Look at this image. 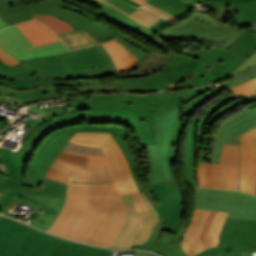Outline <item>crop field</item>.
I'll return each mask as SVG.
<instances>
[{
  "label": "crop field",
  "mask_w": 256,
  "mask_h": 256,
  "mask_svg": "<svg viewBox=\"0 0 256 256\" xmlns=\"http://www.w3.org/2000/svg\"><path fill=\"white\" fill-rule=\"evenodd\" d=\"M83 131L110 132L126 155L139 190H144L137 175L132 154L125 141L128 136L124 128L118 126L71 125L47 135L41 141L28 164L18 163L17 178H6L0 174V201L10 188L65 199L67 185L43 177L67 141L76 132ZM145 191L154 207L158 205L151 192L149 190Z\"/></svg>",
  "instance_id": "34b2d1b8"
},
{
  "label": "crop field",
  "mask_w": 256,
  "mask_h": 256,
  "mask_svg": "<svg viewBox=\"0 0 256 256\" xmlns=\"http://www.w3.org/2000/svg\"><path fill=\"white\" fill-rule=\"evenodd\" d=\"M250 31H255L256 32V21L252 24V26L249 29Z\"/></svg>",
  "instance_id": "89e229c0"
},
{
  "label": "crop field",
  "mask_w": 256,
  "mask_h": 256,
  "mask_svg": "<svg viewBox=\"0 0 256 256\" xmlns=\"http://www.w3.org/2000/svg\"><path fill=\"white\" fill-rule=\"evenodd\" d=\"M114 40H116L121 46H123L128 52H130L138 60H140V59L149 55L146 52H144L143 50L136 47L135 45L129 43L128 41H126V40H124L120 37H118Z\"/></svg>",
  "instance_id": "b80d0937"
},
{
  "label": "crop field",
  "mask_w": 256,
  "mask_h": 256,
  "mask_svg": "<svg viewBox=\"0 0 256 256\" xmlns=\"http://www.w3.org/2000/svg\"><path fill=\"white\" fill-rule=\"evenodd\" d=\"M164 218H160L159 222L145 247H135L133 249H146L156 251L164 256H188L181 248L180 243L182 236L188 226L182 223L177 235L164 232Z\"/></svg>",
  "instance_id": "00972430"
},
{
  "label": "crop field",
  "mask_w": 256,
  "mask_h": 256,
  "mask_svg": "<svg viewBox=\"0 0 256 256\" xmlns=\"http://www.w3.org/2000/svg\"><path fill=\"white\" fill-rule=\"evenodd\" d=\"M210 1H225V2H250L255 0H210Z\"/></svg>",
  "instance_id": "425ffa30"
},
{
  "label": "crop field",
  "mask_w": 256,
  "mask_h": 256,
  "mask_svg": "<svg viewBox=\"0 0 256 256\" xmlns=\"http://www.w3.org/2000/svg\"><path fill=\"white\" fill-rule=\"evenodd\" d=\"M127 218L113 183H70L65 206L48 232L108 247Z\"/></svg>",
  "instance_id": "ac0d7876"
},
{
  "label": "crop field",
  "mask_w": 256,
  "mask_h": 256,
  "mask_svg": "<svg viewBox=\"0 0 256 256\" xmlns=\"http://www.w3.org/2000/svg\"><path fill=\"white\" fill-rule=\"evenodd\" d=\"M228 212H219L212 226L211 241L213 247L219 246L218 238Z\"/></svg>",
  "instance_id": "e1f06a70"
},
{
  "label": "crop field",
  "mask_w": 256,
  "mask_h": 256,
  "mask_svg": "<svg viewBox=\"0 0 256 256\" xmlns=\"http://www.w3.org/2000/svg\"><path fill=\"white\" fill-rule=\"evenodd\" d=\"M82 1L102 8L103 10L99 13L108 18L110 21L146 37L159 47L165 49L167 52L175 56V58L165 68L158 72L168 84L172 85V88L167 90L209 84L216 76L206 68L221 62L224 58V53L226 50L216 47L211 48V51L199 50L195 52L181 49V52H183L185 55H178L151 37L173 23L162 18L163 20L155 23L154 26L147 29L136 21L123 15L119 11L101 2L96 0ZM107 1L119 6L129 13L136 9L121 0ZM191 76H193V78H191Z\"/></svg>",
  "instance_id": "f4fd0767"
},
{
  "label": "crop field",
  "mask_w": 256,
  "mask_h": 256,
  "mask_svg": "<svg viewBox=\"0 0 256 256\" xmlns=\"http://www.w3.org/2000/svg\"><path fill=\"white\" fill-rule=\"evenodd\" d=\"M68 142L101 147L106 156L85 155L88 156L87 167L56 159L52 165L53 167L70 173V181L73 182L113 181L120 195L131 193L139 212L147 210L128 162L111 134L94 132L76 133Z\"/></svg>",
  "instance_id": "dd49c442"
},
{
  "label": "crop field",
  "mask_w": 256,
  "mask_h": 256,
  "mask_svg": "<svg viewBox=\"0 0 256 256\" xmlns=\"http://www.w3.org/2000/svg\"><path fill=\"white\" fill-rule=\"evenodd\" d=\"M34 19H38L39 21L47 24L56 34L74 30L70 25L66 22L56 19L55 17L49 16H33Z\"/></svg>",
  "instance_id": "1d83c4d3"
},
{
  "label": "crop field",
  "mask_w": 256,
  "mask_h": 256,
  "mask_svg": "<svg viewBox=\"0 0 256 256\" xmlns=\"http://www.w3.org/2000/svg\"><path fill=\"white\" fill-rule=\"evenodd\" d=\"M240 137L239 191L256 195V127Z\"/></svg>",
  "instance_id": "bc2a9ffb"
},
{
  "label": "crop field",
  "mask_w": 256,
  "mask_h": 256,
  "mask_svg": "<svg viewBox=\"0 0 256 256\" xmlns=\"http://www.w3.org/2000/svg\"><path fill=\"white\" fill-rule=\"evenodd\" d=\"M41 232L1 216L0 256H109L112 253Z\"/></svg>",
  "instance_id": "d8731c3e"
},
{
  "label": "crop field",
  "mask_w": 256,
  "mask_h": 256,
  "mask_svg": "<svg viewBox=\"0 0 256 256\" xmlns=\"http://www.w3.org/2000/svg\"><path fill=\"white\" fill-rule=\"evenodd\" d=\"M4 122L0 121V129L2 128Z\"/></svg>",
  "instance_id": "1d79db26"
},
{
  "label": "crop field",
  "mask_w": 256,
  "mask_h": 256,
  "mask_svg": "<svg viewBox=\"0 0 256 256\" xmlns=\"http://www.w3.org/2000/svg\"><path fill=\"white\" fill-rule=\"evenodd\" d=\"M115 41L110 40L101 45L112 57L118 74L138 69V66L135 64L138 60L128 53L124 48H122L123 46L121 47L118 43H116L117 41Z\"/></svg>",
  "instance_id": "eef30255"
},
{
  "label": "crop field",
  "mask_w": 256,
  "mask_h": 256,
  "mask_svg": "<svg viewBox=\"0 0 256 256\" xmlns=\"http://www.w3.org/2000/svg\"><path fill=\"white\" fill-rule=\"evenodd\" d=\"M135 256H149V255H143V254H137V253H135Z\"/></svg>",
  "instance_id": "0fb4a251"
},
{
  "label": "crop field",
  "mask_w": 256,
  "mask_h": 256,
  "mask_svg": "<svg viewBox=\"0 0 256 256\" xmlns=\"http://www.w3.org/2000/svg\"><path fill=\"white\" fill-rule=\"evenodd\" d=\"M219 4H231L229 13L234 16L235 22L240 25H251L256 20V1L250 3H224L202 1L200 5L210 9L220 18H228L226 13L222 11Z\"/></svg>",
  "instance_id": "a9b5d70f"
},
{
  "label": "crop field",
  "mask_w": 256,
  "mask_h": 256,
  "mask_svg": "<svg viewBox=\"0 0 256 256\" xmlns=\"http://www.w3.org/2000/svg\"><path fill=\"white\" fill-rule=\"evenodd\" d=\"M256 51V33L247 31L225 53V59L218 65L208 68L216 74V79L235 70Z\"/></svg>",
  "instance_id": "dafd665d"
},
{
  "label": "crop field",
  "mask_w": 256,
  "mask_h": 256,
  "mask_svg": "<svg viewBox=\"0 0 256 256\" xmlns=\"http://www.w3.org/2000/svg\"><path fill=\"white\" fill-rule=\"evenodd\" d=\"M58 36L68 45L70 50L98 44V42L82 28L58 34Z\"/></svg>",
  "instance_id": "750c4746"
},
{
  "label": "crop field",
  "mask_w": 256,
  "mask_h": 256,
  "mask_svg": "<svg viewBox=\"0 0 256 256\" xmlns=\"http://www.w3.org/2000/svg\"><path fill=\"white\" fill-rule=\"evenodd\" d=\"M194 208L229 211L227 217L256 219V196L219 189L193 188Z\"/></svg>",
  "instance_id": "22f410ed"
},
{
  "label": "crop field",
  "mask_w": 256,
  "mask_h": 256,
  "mask_svg": "<svg viewBox=\"0 0 256 256\" xmlns=\"http://www.w3.org/2000/svg\"><path fill=\"white\" fill-rule=\"evenodd\" d=\"M143 6L148 8V9H150V10H152V11H154L155 13L161 15L162 17H164V18H166V19H168V20H170V21H172L174 23L180 20L177 17H175L173 15H170V14H168V13H166V12L156 8V7H153V6H151V5L147 4V3L145 5H143Z\"/></svg>",
  "instance_id": "5d738f31"
},
{
  "label": "crop field",
  "mask_w": 256,
  "mask_h": 256,
  "mask_svg": "<svg viewBox=\"0 0 256 256\" xmlns=\"http://www.w3.org/2000/svg\"><path fill=\"white\" fill-rule=\"evenodd\" d=\"M133 1H135V2H137L139 4H142V5L147 2V0H133Z\"/></svg>",
  "instance_id": "dbb93151"
},
{
  "label": "crop field",
  "mask_w": 256,
  "mask_h": 256,
  "mask_svg": "<svg viewBox=\"0 0 256 256\" xmlns=\"http://www.w3.org/2000/svg\"><path fill=\"white\" fill-rule=\"evenodd\" d=\"M140 193L149 210L138 213L131 195L121 196L129 218L122 230L111 243V248L131 249L134 246H144L149 240L159 217L145 191Z\"/></svg>",
  "instance_id": "d1516ede"
},
{
  "label": "crop field",
  "mask_w": 256,
  "mask_h": 256,
  "mask_svg": "<svg viewBox=\"0 0 256 256\" xmlns=\"http://www.w3.org/2000/svg\"><path fill=\"white\" fill-rule=\"evenodd\" d=\"M207 121L195 117L189 126L184 156L185 179L188 186H198L196 162H200L202 141Z\"/></svg>",
  "instance_id": "92a150f3"
},
{
  "label": "crop field",
  "mask_w": 256,
  "mask_h": 256,
  "mask_svg": "<svg viewBox=\"0 0 256 256\" xmlns=\"http://www.w3.org/2000/svg\"><path fill=\"white\" fill-rule=\"evenodd\" d=\"M243 102L246 104L256 102V95L239 100L236 96H234L231 93V94L223 97L222 99L216 101L204 112V114L202 115L201 118L209 119V121H208L206 133H205V137H204V141H203L201 162H205V159H206L207 146H208V142H209V138H210V136H208V129H209L210 125L212 124V122L218 116L226 113L230 109L234 108L235 106H237Z\"/></svg>",
  "instance_id": "4177f3b9"
},
{
  "label": "crop field",
  "mask_w": 256,
  "mask_h": 256,
  "mask_svg": "<svg viewBox=\"0 0 256 256\" xmlns=\"http://www.w3.org/2000/svg\"><path fill=\"white\" fill-rule=\"evenodd\" d=\"M125 1L129 2L130 4H132V5L135 6V7L141 6V5L135 3V2H133V1H131V0H125Z\"/></svg>",
  "instance_id": "1f2cbd36"
},
{
  "label": "crop field",
  "mask_w": 256,
  "mask_h": 256,
  "mask_svg": "<svg viewBox=\"0 0 256 256\" xmlns=\"http://www.w3.org/2000/svg\"><path fill=\"white\" fill-rule=\"evenodd\" d=\"M98 1H101L103 3H106V4L114 7L115 9L124 13L128 17L138 21L139 23H141L142 25H144L147 28L154 25L155 22L162 19L161 17L155 15L154 13H152V12H150V11L144 9V8H138L137 10H135L134 12L129 14V13L125 12L124 10L120 9L119 7L107 2L106 0H98Z\"/></svg>",
  "instance_id": "bd1437ed"
},
{
  "label": "crop field",
  "mask_w": 256,
  "mask_h": 256,
  "mask_svg": "<svg viewBox=\"0 0 256 256\" xmlns=\"http://www.w3.org/2000/svg\"><path fill=\"white\" fill-rule=\"evenodd\" d=\"M246 107L248 109L225 120L217 128L210 163H219L223 143L239 145L238 136L256 126V103Z\"/></svg>",
  "instance_id": "4a817a6b"
},
{
  "label": "crop field",
  "mask_w": 256,
  "mask_h": 256,
  "mask_svg": "<svg viewBox=\"0 0 256 256\" xmlns=\"http://www.w3.org/2000/svg\"><path fill=\"white\" fill-rule=\"evenodd\" d=\"M206 212L205 210L194 209V215L182 239L181 246L189 256L204 250L200 240V231Z\"/></svg>",
  "instance_id": "730fd06b"
},
{
  "label": "crop field",
  "mask_w": 256,
  "mask_h": 256,
  "mask_svg": "<svg viewBox=\"0 0 256 256\" xmlns=\"http://www.w3.org/2000/svg\"><path fill=\"white\" fill-rule=\"evenodd\" d=\"M256 90V89H255Z\"/></svg>",
  "instance_id": "9d1cf04e"
},
{
  "label": "crop field",
  "mask_w": 256,
  "mask_h": 256,
  "mask_svg": "<svg viewBox=\"0 0 256 256\" xmlns=\"http://www.w3.org/2000/svg\"><path fill=\"white\" fill-rule=\"evenodd\" d=\"M255 66H256V52L246 62H244L240 67H238L235 71L227 74L226 76H224V77H222V78H220V79H218V80H216L215 82H212V83L224 81V80H226L230 77H233V76H235V75H237L241 72H244L248 69H251Z\"/></svg>",
  "instance_id": "0bd39190"
},
{
  "label": "crop field",
  "mask_w": 256,
  "mask_h": 256,
  "mask_svg": "<svg viewBox=\"0 0 256 256\" xmlns=\"http://www.w3.org/2000/svg\"><path fill=\"white\" fill-rule=\"evenodd\" d=\"M0 61L9 66L21 64V62H19L17 59H15L13 56L8 54L1 48H0Z\"/></svg>",
  "instance_id": "b54c1fbb"
},
{
  "label": "crop field",
  "mask_w": 256,
  "mask_h": 256,
  "mask_svg": "<svg viewBox=\"0 0 256 256\" xmlns=\"http://www.w3.org/2000/svg\"><path fill=\"white\" fill-rule=\"evenodd\" d=\"M201 0H150L148 3L165 10L181 19L187 17L192 8Z\"/></svg>",
  "instance_id": "d3111659"
},
{
  "label": "crop field",
  "mask_w": 256,
  "mask_h": 256,
  "mask_svg": "<svg viewBox=\"0 0 256 256\" xmlns=\"http://www.w3.org/2000/svg\"><path fill=\"white\" fill-rule=\"evenodd\" d=\"M170 87L158 74L142 78L116 80L112 84L101 85L99 78L59 81L40 79V88L14 90L0 84V101L6 102L5 96L22 100L24 104L36 101L60 98L90 91H158Z\"/></svg>",
  "instance_id": "5a996713"
},
{
  "label": "crop field",
  "mask_w": 256,
  "mask_h": 256,
  "mask_svg": "<svg viewBox=\"0 0 256 256\" xmlns=\"http://www.w3.org/2000/svg\"><path fill=\"white\" fill-rule=\"evenodd\" d=\"M30 111V112H34V113H38L40 114L39 117L37 119H34L36 121H48L54 117H57L61 114H64V113H67V112H75L77 110H74L72 109L69 105L65 106V108H62V109H59V110H53V111H49V112H46V109H38L36 107V105L34 106H31V108L29 110H27V112Z\"/></svg>",
  "instance_id": "d32e631a"
},
{
  "label": "crop field",
  "mask_w": 256,
  "mask_h": 256,
  "mask_svg": "<svg viewBox=\"0 0 256 256\" xmlns=\"http://www.w3.org/2000/svg\"><path fill=\"white\" fill-rule=\"evenodd\" d=\"M64 149L73 151V152L85 153V154L104 155L101 148L79 146L71 143H68Z\"/></svg>",
  "instance_id": "c035e120"
},
{
  "label": "crop field",
  "mask_w": 256,
  "mask_h": 256,
  "mask_svg": "<svg viewBox=\"0 0 256 256\" xmlns=\"http://www.w3.org/2000/svg\"><path fill=\"white\" fill-rule=\"evenodd\" d=\"M159 205L155 207L160 217H165L164 230L177 233L184 213L181 187L176 182L150 185L149 189Z\"/></svg>",
  "instance_id": "733c2abd"
},
{
  "label": "crop field",
  "mask_w": 256,
  "mask_h": 256,
  "mask_svg": "<svg viewBox=\"0 0 256 256\" xmlns=\"http://www.w3.org/2000/svg\"><path fill=\"white\" fill-rule=\"evenodd\" d=\"M214 86L174 91L168 93L135 94L105 93L87 94L67 98L73 102L75 113L61 115L47 123L32 120L30 129L22 136L24 144L19 152L0 147V163H5L9 177H16L17 162L28 163L40 141L50 132L70 124L92 122H119L130 125L141 145L156 144L153 132L152 108H168L191 101ZM30 150V151H29Z\"/></svg>",
  "instance_id": "8a807250"
},
{
  "label": "crop field",
  "mask_w": 256,
  "mask_h": 256,
  "mask_svg": "<svg viewBox=\"0 0 256 256\" xmlns=\"http://www.w3.org/2000/svg\"><path fill=\"white\" fill-rule=\"evenodd\" d=\"M177 160H178V157H172V156H169L167 159L168 166H169L171 177H172L173 181H175V171H174L173 163L177 162Z\"/></svg>",
  "instance_id": "d23c7cc5"
},
{
  "label": "crop field",
  "mask_w": 256,
  "mask_h": 256,
  "mask_svg": "<svg viewBox=\"0 0 256 256\" xmlns=\"http://www.w3.org/2000/svg\"><path fill=\"white\" fill-rule=\"evenodd\" d=\"M239 146L223 145L220 164H214L212 187L237 190Z\"/></svg>",
  "instance_id": "214f88e0"
},
{
  "label": "crop field",
  "mask_w": 256,
  "mask_h": 256,
  "mask_svg": "<svg viewBox=\"0 0 256 256\" xmlns=\"http://www.w3.org/2000/svg\"><path fill=\"white\" fill-rule=\"evenodd\" d=\"M64 201L62 199L10 189L2 202L0 201V211L15 218L16 215L8 212L11 207L15 203L19 205L21 203L27 204L35 208L31 215L36 216V218L30 224L46 230L57 217Z\"/></svg>",
  "instance_id": "5142ce71"
},
{
  "label": "crop field",
  "mask_w": 256,
  "mask_h": 256,
  "mask_svg": "<svg viewBox=\"0 0 256 256\" xmlns=\"http://www.w3.org/2000/svg\"><path fill=\"white\" fill-rule=\"evenodd\" d=\"M58 159L86 166L87 157L61 152L58 156Z\"/></svg>",
  "instance_id": "c21b1889"
},
{
  "label": "crop field",
  "mask_w": 256,
  "mask_h": 256,
  "mask_svg": "<svg viewBox=\"0 0 256 256\" xmlns=\"http://www.w3.org/2000/svg\"><path fill=\"white\" fill-rule=\"evenodd\" d=\"M213 164L197 163V180L199 186L211 187Z\"/></svg>",
  "instance_id": "5866460e"
},
{
  "label": "crop field",
  "mask_w": 256,
  "mask_h": 256,
  "mask_svg": "<svg viewBox=\"0 0 256 256\" xmlns=\"http://www.w3.org/2000/svg\"><path fill=\"white\" fill-rule=\"evenodd\" d=\"M17 26L34 46L59 40L54 33L38 21H28L17 24Z\"/></svg>",
  "instance_id": "ae1a2a85"
},
{
  "label": "crop field",
  "mask_w": 256,
  "mask_h": 256,
  "mask_svg": "<svg viewBox=\"0 0 256 256\" xmlns=\"http://www.w3.org/2000/svg\"><path fill=\"white\" fill-rule=\"evenodd\" d=\"M219 243L220 247L195 256H242V251L256 252V220L227 218Z\"/></svg>",
  "instance_id": "cbeb9de0"
},
{
  "label": "crop field",
  "mask_w": 256,
  "mask_h": 256,
  "mask_svg": "<svg viewBox=\"0 0 256 256\" xmlns=\"http://www.w3.org/2000/svg\"><path fill=\"white\" fill-rule=\"evenodd\" d=\"M31 15H50L63 19L73 28L82 27L99 43L114 38L95 17L58 0H45L24 7L18 0H0V17L8 24L32 19Z\"/></svg>",
  "instance_id": "3316defc"
},
{
  "label": "crop field",
  "mask_w": 256,
  "mask_h": 256,
  "mask_svg": "<svg viewBox=\"0 0 256 256\" xmlns=\"http://www.w3.org/2000/svg\"><path fill=\"white\" fill-rule=\"evenodd\" d=\"M68 176H69L68 174H65L63 172H60L58 170H55V169L49 167V169L45 175V178L56 180V181L63 182V183L67 184Z\"/></svg>",
  "instance_id": "03da06ac"
},
{
  "label": "crop field",
  "mask_w": 256,
  "mask_h": 256,
  "mask_svg": "<svg viewBox=\"0 0 256 256\" xmlns=\"http://www.w3.org/2000/svg\"><path fill=\"white\" fill-rule=\"evenodd\" d=\"M256 77L247 81H244L229 90L232 91L239 99L256 94Z\"/></svg>",
  "instance_id": "120bbe31"
},
{
  "label": "crop field",
  "mask_w": 256,
  "mask_h": 256,
  "mask_svg": "<svg viewBox=\"0 0 256 256\" xmlns=\"http://www.w3.org/2000/svg\"><path fill=\"white\" fill-rule=\"evenodd\" d=\"M245 32L217 22L208 15L193 9L191 15L184 21L168 27L156 36L165 41L183 40L192 42L196 40L229 49Z\"/></svg>",
  "instance_id": "28ad6ade"
},
{
  "label": "crop field",
  "mask_w": 256,
  "mask_h": 256,
  "mask_svg": "<svg viewBox=\"0 0 256 256\" xmlns=\"http://www.w3.org/2000/svg\"><path fill=\"white\" fill-rule=\"evenodd\" d=\"M5 26H8V25L0 18V29Z\"/></svg>",
  "instance_id": "73cf0c24"
},
{
  "label": "crop field",
  "mask_w": 256,
  "mask_h": 256,
  "mask_svg": "<svg viewBox=\"0 0 256 256\" xmlns=\"http://www.w3.org/2000/svg\"><path fill=\"white\" fill-rule=\"evenodd\" d=\"M22 63L9 67L0 62V83L26 89L39 87V78L70 80L117 75L112 59L101 45Z\"/></svg>",
  "instance_id": "412701ff"
},
{
  "label": "crop field",
  "mask_w": 256,
  "mask_h": 256,
  "mask_svg": "<svg viewBox=\"0 0 256 256\" xmlns=\"http://www.w3.org/2000/svg\"><path fill=\"white\" fill-rule=\"evenodd\" d=\"M256 76V69L231 82L197 97L191 102L184 103L168 109H153L154 132L157 145L142 146L146 148L150 171L146 176L149 184L170 182L171 177L166 159L168 155L178 156L179 145L183 137L184 128L191 114H194L205 101L227 90L228 88ZM231 93L230 91L218 96L201 110L198 117L216 100Z\"/></svg>",
  "instance_id": "e52e79f7"
},
{
  "label": "crop field",
  "mask_w": 256,
  "mask_h": 256,
  "mask_svg": "<svg viewBox=\"0 0 256 256\" xmlns=\"http://www.w3.org/2000/svg\"><path fill=\"white\" fill-rule=\"evenodd\" d=\"M130 252H137V253H143V254H149V255L157 256V255H155L153 253L141 252V251H123V252H118V253H130Z\"/></svg>",
  "instance_id": "25e5ab78"
},
{
  "label": "crop field",
  "mask_w": 256,
  "mask_h": 256,
  "mask_svg": "<svg viewBox=\"0 0 256 256\" xmlns=\"http://www.w3.org/2000/svg\"><path fill=\"white\" fill-rule=\"evenodd\" d=\"M218 211H208L207 215L204 220L203 228L201 231V240L204 248H208L211 245L210 241V232H211V225L217 215Z\"/></svg>",
  "instance_id": "028f5c9d"
},
{
  "label": "crop field",
  "mask_w": 256,
  "mask_h": 256,
  "mask_svg": "<svg viewBox=\"0 0 256 256\" xmlns=\"http://www.w3.org/2000/svg\"><path fill=\"white\" fill-rule=\"evenodd\" d=\"M0 47L20 61L67 53L61 40L34 47L16 25L0 31Z\"/></svg>",
  "instance_id": "d9b57169"
}]
</instances>
